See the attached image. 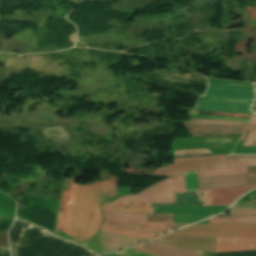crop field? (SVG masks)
I'll return each instance as SVG.
<instances>
[{
	"label": "crop field",
	"instance_id": "crop-field-1",
	"mask_svg": "<svg viewBox=\"0 0 256 256\" xmlns=\"http://www.w3.org/2000/svg\"><path fill=\"white\" fill-rule=\"evenodd\" d=\"M95 184L96 182L83 186L76 184L75 188L74 179H65L60 201L57 229L68 234L75 188L69 231V234L75 237L74 241L87 240ZM107 188L108 181H99L96 184L88 239L94 236L99 228L101 216L100 203L105 201Z\"/></svg>",
	"mask_w": 256,
	"mask_h": 256
},
{
	"label": "crop field",
	"instance_id": "crop-field-2",
	"mask_svg": "<svg viewBox=\"0 0 256 256\" xmlns=\"http://www.w3.org/2000/svg\"><path fill=\"white\" fill-rule=\"evenodd\" d=\"M249 167H223L201 171L202 178L248 172ZM199 190L245 185L248 173L218 176L201 179L200 171L197 172ZM196 172L185 174L187 191L198 190ZM184 174L169 177L137 195H126L115 201H142L153 203L175 202L173 192L186 191ZM179 179V183L173 180Z\"/></svg>",
	"mask_w": 256,
	"mask_h": 256
},
{
	"label": "crop field",
	"instance_id": "crop-field-3",
	"mask_svg": "<svg viewBox=\"0 0 256 256\" xmlns=\"http://www.w3.org/2000/svg\"><path fill=\"white\" fill-rule=\"evenodd\" d=\"M12 256H85L94 254L74 243L16 220L9 230ZM15 250L16 254L13 255ZM14 252V253H15Z\"/></svg>",
	"mask_w": 256,
	"mask_h": 256
},
{
	"label": "crop field",
	"instance_id": "crop-field-4",
	"mask_svg": "<svg viewBox=\"0 0 256 256\" xmlns=\"http://www.w3.org/2000/svg\"><path fill=\"white\" fill-rule=\"evenodd\" d=\"M256 187V185L231 187L224 189L202 191L206 206L230 205L239 196L246 191ZM176 203L154 204V206L162 205H191L205 206L201 191L174 194ZM102 205H133V206H153V204L136 203V202H114L108 201Z\"/></svg>",
	"mask_w": 256,
	"mask_h": 256
},
{
	"label": "crop field",
	"instance_id": "crop-field-5",
	"mask_svg": "<svg viewBox=\"0 0 256 256\" xmlns=\"http://www.w3.org/2000/svg\"><path fill=\"white\" fill-rule=\"evenodd\" d=\"M171 234L194 236L256 237V226L241 224H201Z\"/></svg>",
	"mask_w": 256,
	"mask_h": 256
},
{
	"label": "crop field",
	"instance_id": "crop-field-6",
	"mask_svg": "<svg viewBox=\"0 0 256 256\" xmlns=\"http://www.w3.org/2000/svg\"><path fill=\"white\" fill-rule=\"evenodd\" d=\"M185 225L187 224L155 222L126 223L120 221L105 220L102 226L120 230L162 234Z\"/></svg>",
	"mask_w": 256,
	"mask_h": 256
},
{
	"label": "crop field",
	"instance_id": "crop-field-7",
	"mask_svg": "<svg viewBox=\"0 0 256 256\" xmlns=\"http://www.w3.org/2000/svg\"><path fill=\"white\" fill-rule=\"evenodd\" d=\"M224 158L225 157L175 162L168 164V167L156 169L150 175L171 176L186 171L202 169L215 165L222 161Z\"/></svg>",
	"mask_w": 256,
	"mask_h": 256
},
{
	"label": "crop field",
	"instance_id": "crop-field-8",
	"mask_svg": "<svg viewBox=\"0 0 256 256\" xmlns=\"http://www.w3.org/2000/svg\"><path fill=\"white\" fill-rule=\"evenodd\" d=\"M154 256H201L203 251H189L180 248L170 247L156 242H146L133 248Z\"/></svg>",
	"mask_w": 256,
	"mask_h": 256
},
{
	"label": "crop field",
	"instance_id": "crop-field-9",
	"mask_svg": "<svg viewBox=\"0 0 256 256\" xmlns=\"http://www.w3.org/2000/svg\"><path fill=\"white\" fill-rule=\"evenodd\" d=\"M191 136L217 135L228 133H242L246 125L231 126L218 124H198L192 122H184Z\"/></svg>",
	"mask_w": 256,
	"mask_h": 256
},
{
	"label": "crop field",
	"instance_id": "crop-field-10",
	"mask_svg": "<svg viewBox=\"0 0 256 256\" xmlns=\"http://www.w3.org/2000/svg\"><path fill=\"white\" fill-rule=\"evenodd\" d=\"M201 96L254 100L255 91L244 88L207 86Z\"/></svg>",
	"mask_w": 256,
	"mask_h": 256
},
{
	"label": "crop field",
	"instance_id": "crop-field-11",
	"mask_svg": "<svg viewBox=\"0 0 256 256\" xmlns=\"http://www.w3.org/2000/svg\"><path fill=\"white\" fill-rule=\"evenodd\" d=\"M251 104L198 100L194 110L251 114Z\"/></svg>",
	"mask_w": 256,
	"mask_h": 256
},
{
	"label": "crop field",
	"instance_id": "crop-field-12",
	"mask_svg": "<svg viewBox=\"0 0 256 256\" xmlns=\"http://www.w3.org/2000/svg\"><path fill=\"white\" fill-rule=\"evenodd\" d=\"M216 252L222 251H240V250H256L255 238H231L218 237Z\"/></svg>",
	"mask_w": 256,
	"mask_h": 256
},
{
	"label": "crop field",
	"instance_id": "crop-field-13",
	"mask_svg": "<svg viewBox=\"0 0 256 256\" xmlns=\"http://www.w3.org/2000/svg\"><path fill=\"white\" fill-rule=\"evenodd\" d=\"M228 206L218 207H191V206H168L154 207V213H184V214H200L214 215L223 211Z\"/></svg>",
	"mask_w": 256,
	"mask_h": 256
},
{
	"label": "crop field",
	"instance_id": "crop-field-14",
	"mask_svg": "<svg viewBox=\"0 0 256 256\" xmlns=\"http://www.w3.org/2000/svg\"><path fill=\"white\" fill-rule=\"evenodd\" d=\"M105 219L129 221V222H140L144 221V214L129 215V214H118L104 212ZM145 221H156V222H173V214H145Z\"/></svg>",
	"mask_w": 256,
	"mask_h": 256
},
{
	"label": "crop field",
	"instance_id": "crop-field-15",
	"mask_svg": "<svg viewBox=\"0 0 256 256\" xmlns=\"http://www.w3.org/2000/svg\"><path fill=\"white\" fill-rule=\"evenodd\" d=\"M100 232L105 240L109 251L122 249L138 242L144 241V239L126 237L111 232Z\"/></svg>",
	"mask_w": 256,
	"mask_h": 256
},
{
	"label": "crop field",
	"instance_id": "crop-field-16",
	"mask_svg": "<svg viewBox=\"0 0 256 256\" xmlns=\"http://www.w3.org/2000/svg\"><path fill=\"white\" fill-rule=\"evenodd\" d=\"M209 223H241L256 225L255 216L245 217H214L208 220Z\"/></svg>",
	"mask_w": 256,
	"mask_h": 256
},
{
	"label": "crop field",
	"instance_id": "crop-field-17",
	"mask_svg": "<svg viewBox=\"0 0 256 256\" xmlns=\"http://www.w3.org/2000/svg\"><path fill=\"white\" fill-rule=\"evenodd\" d=\"M103 211L123 213H153V207L101 206Z\"/></svg>",
	"mask_w": 256,
	"mask_h": 256
},
{
	"label": "crop field",
	"instance_id": "crop-field-18",
	"mask_svg": "<svg viewBox=\"0 0 256 256\" xmlns=\"http://www.w3.org/2000/svg\"><path fill=\"white\" fill-rule=\"evenodd\" d=\"M203 78L206 79L207 85L246 87V88L254 89V85L252 83L233 82V81L220 80V79H214L209 77H203Z\"/></svg>",
	"mask_w": 256,
	"mask_h": 256
},
{
	"label": "crop field",
	"instance_id": "crop-field-19",
	"mask_svg": "<svg viewBox=\"0 0 256 256\" xmlns=\"http://www.w3.org/2000/svg\"><path fill=\"white\" fill-rule=\"evenodd\" d=\"M223 166H256V159H239V160L223 161L221 164L212 168L223 167Z\"/></svg>",
	"mask_w": 256,
	"mask_h": 256
},
{
	"label": "crop field",
	"instance_id": "crop-field-20",
	"mask_svg": "<svg viewBox=\"0 0 256 256\" xmlns=\"http://www.w3.org/2000/svg\"><path fill=\"white\" fill-rule=\"evenodd\" d=\"M101 230L111 231V232H115V233H119V234H123V235H127V236L144 238V239H149L151 237L156 236L155 234L135 233V232H127V231L120 232V231H115V230H111V229H107V228H103V227Z\"/></svg>",
	"mask_w": 256,
	"mask_h": 256
},
{
	"label": "crop field",
	"instance_id": "crop-field-21",
	"mask_svg": "<svg viewBox=\"0 0 256 256\" xmlns=\"http://www.w3.org/2000/svg\"><path fill=\"white\" fill-rule=\"evenodd\" d=\"M256 215V208H230V216Z\"/></svg>",
	"mask_w": 256,
	"mask_h": 256
},
{
	"label": "crop field",
	"instance_id": "crop-field-22",
	"mask_svg": "<svg viewBox=\"0 0 256 256\" xmlns=\"http://www.w3.org/2000/svg\"><path fill=\"white\" fill-rule=\"evenodd\" d=\"M250 124L256 125V114H254L251 118ZM256 143V127L255 129L250 133L247 140L243 144V146H254Z\"/></svg>",
	"mask_w": 256,
	"mask_h": 256
},
{
	"label": "crop field",
	"instance_id": "crop-field-23",
	"mask_svg": "<svg viewBox=\"0 0 256 256\" xmlns=\"http://www.w3.org/2000/svg\"><path fill=\"white\" fill-rule=\"evenodd\" d=\"M118 177L111 176L109 177V189L107 196H116V185Z\"/></svg>",
	"mask_w": 256,
	"mask_h": 256
},
{
	"label": "crop field",
	"instance_id": "crop-field-24",
	"mask_svg": "<svg viewBox=\"0 0 256 256\" xmlns=\"http://www.w3.org/2000/svg\"><path fill=\"white\" fill-rule=\"evenodd\" d=\"M210 152L207 149H199V150H183V151H175L176 156L180 155H190V154H199V153H208Z\"/></svg>",
	"mask_w": 256,
	"mask_h": 256
},
{
	"label": "crop field",
	"instance_id": "crop-field-25",
	"mask_svg": "<svg viewBox=\"0 0 256 256\" xmlns=\"http://www.w3.org/2000/svg\"><path fill=\"white\" fill-rule=\"evenodd\" d=\"M192 121H195V122H202V123H219V124H245V123H242V122H230V121H212V120H202V119H194V118H191Z\"/></svg>",
	"mask_w": 256,
	"mask_h": 256
},
{
	"label": "crop field",
	"instance_id": "crop-field-26",
	"mask_svg": "<svg viewBox=\"0 0 256 256\" xmlns=\"http://www.w3.org/2000/svg\"><path fill=\"white\" fill-rule=\"evenodd\" d=\"M123 256H150L144 253H140V252H135V251H131V250H123V251H119L117 252Z\"/></svg>",
	"mask_w": 256,
	"mask_h": 256
},
{
	"label": "crop field",
	"instance_id": "crop-field-27",
	"mask_svg": "<svg viewBox=\"0 0 256 256\" xmlns=\"http://www.w3.org/2000/svg\"><path fill=\"white\" fill-rule=\"evenodd\" d=\"M256 155H230L226 159H238V158H254Z\"/></svg>",
	"mask_w": 256,
	"mask_h": 256
},
{
	"label": "crop field",
	"instance_id": "crop-field-28",
	"mask_svg": "<svg viewBox=\"0 0 256 256\" xmlns=\"http://www.w3.org/2000/svg\"><path fill=\"white\" fill-rule=\"evenodd\" d=\"M0 256H9L8 250L0 249Z\"/></svg>",
	"mask_w": 256,
	"mask_h": 256
},
{
	"label": "crop field",
	"instance_id": "crop-field-29",
	"mask_svg": "<svg viewBox=\"0 0 256 256\" xmlns=\"http://www.w3.org/2000/svg\"><path fill=\"white\" fill-rule=\"evenodd\" d=\"M221 156H226V155H221ZM212 157H220V156H210V157H200V158H190V159H201V158H212ZM180 160H185V159H180Z\"/></svg>",
	"mask_w": 256,
	"mask_h": 256
},
{
	"label": "crop field",
	"instance_id": "crop-field-30",
	"mask_svg": "<svg viewBox=\"0 0 256 256\" xmlns=\"http://www.w3.org/2000/svg\"><path fill=\"white\" fill-rule=\"evenodd\" d=\"M256 199V194L251 196V200Z\"/></svg>",
	"mask_w": 256,
	"mask_h": 256
},
{
	"label": "crop field",
	"instance_id": "crop-field-31",
	"mask_svg": "<svg viewBox=\"0 0 256 256\" xmlns=\"http://www.w3.org/2000/svg\"><path fill=\"white\" fill-rule=\"evenodd\" d=\"M254 202V204L256 205V200L255 201H253Z\"/></svg>",
	"mask_w": 256,
	"mask_h": 256
},
{
	"label": "crop field",
	"instance_id": "crop-field-32",
	"mask_svg": "<svg viewBox=\"0 0 256 256\" xmlns=\"http://www.w3.org/2000/svg\"><path fill=\"white\" fill-rule=\"evenodd\" d=\"M254 147H256V145Z\"/></svg>",
	"mask_w": 256,
	"mask_h": 256
},
{
	"label": "crop field",
	"instance_id": "crop-field-33",
	"mask_svg": "<svg viewBox=\"0 0 256 256\" xmlns=\"http://www.w3.org/2000/svg\"><path fill=\"white\" fill-rule=\"evenodd\" d=\"M255 85H256V83H255Z\"/></svg>",
	"mask_w": 256,
	"mask_h": 256
}]
</instances>
